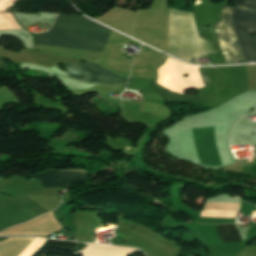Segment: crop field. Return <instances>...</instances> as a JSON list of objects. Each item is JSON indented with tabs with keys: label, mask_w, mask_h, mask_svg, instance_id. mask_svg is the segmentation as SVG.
Masks as SVG:
<instances>
[{
	"label": "crop field",
	"mask_w": 256,
	"mask_h": 256,
	"mask_svg": "<svg viewBox=\"0 0 256 256\" xmlns=\"http://www.w3.org/2000/svg\"><path fill=\"white\" fill-rule=\"evenodd\" d=\"M42 247H56L60 249L77 250L75 242H63L48 239Z\"/></svg>",
	"instance_id": "obj_6"
},
{
	"label": "crop field",
	"mask_w": 256,
	"mask_h": 256,
	"mask_svg": "<svg viewBox=\"0 0 256 256\" xmlns=\"http://www.w3.org/2000/svg\"><path fill=\"white\" fill-rule=\"evenodd\" d=\"M112 98H114V97H112ZM118 99H120V98H118Z\"/></svg>",
	"instance_id": "obj_9"
},
{
	"label": "crop field",
	"mask_w": 256,
	"mask_h": 256,
	"mask_svg": "<svg viewBox=\"0 0 256 256\" xmlns=\"http://www.w3.org/2000/svg\"><path fill=\"white\" fill-rule=\"evenodd\" d=\"M57 19L93 22L77 15L59 14ZM62 20H56L52 28L102 33H108V30H110L102 25L100 26L108 30L98 26L99 24L96 25L97 23L94 24L95 22L86 23ZM56 29H51L49 32L38 35L36 43L100 54L111 31L108 34H102Z\"/></svg>",
	"instance_id": "obj_1"
},
{
	"label": "crop field",
	"mask_w": 256,
	"mask_h": 256,
	"mask_svg": "<svg viewBox=\"0 0 256 256\" xmlns=\"http://www.w3.org/2000/svg\"><path fill=\"white\" fill-rule=\"evenodd\" d=\"M234 31L246 62L256 61V0H234Z\"/></svg>",
	"instance_id": "obj_2"
},
{
	"label": "crop field",
	"mask_w": 256,
	"mask_h": 256,
	"mask_svg": "<svg viewBox=\"0 0 256 256\" xmlns=\"http://www.w3.org/2000/svg\"><path fill=\"white\" fill-rule=\"evenodd\" d=\"M0 66H8L5 62H3L2 60H0Z\"/></svg>",
	"instance_id": "obj_7"
},
{
	"label": "crop field",
	"mask_w": 256,
	"mask_h": 256,
	"mask_svg": "<svg viewBox=\"0 0 256 256\" xmlns=\"http://www.w3.org/2000/svg\"><path fill=\"white\" fill-rule=\"evenodd\" d=\"M11 14V13H10ZM12 15V14H11ZM12 17L14 18V16L12 15ZM15 19V18H14ZM16 20V19H15ZM17 21V20H16ZM17 23L21 26V24L17 21ZM22 29H24L22 26H21ZM25 30V29H24Z\"/></svg>",
	"instance_id": "obj_8"
},
{
	"label": "crop field",
	"mask_w": 256,
	"mask_h": 256,
	"mask_svg": "<svg viewBox=\"0 0 256 256\" xmlns=\"http://www.w3.org/2000/svg\"><path fill=\"white\" fill-rule=\"evenodd\" d=\"M67 76L88 81L126 86L127 77L117 75L95 63L65 65Z\"/></svg>",
	"instance_id": "obj_3"
},
{
	"label": "crop field",
	"mask_w": 256,
	"mask_h": 256,
	"mask_svg": "<svg viewBox=\"0 0 256 256\" xmlns=\"http://www.w3.org/2000/svg\"><path fill=\"white\" fill-rule=\"evenodd\" d=\"M237 215H238V213H237ZM237 218V217H236Z\"/></svg>",
	"instance_id": "obj_10"
},
{
	"label": "crop field",
	"mask_w": 256,
	"mask_h": 256,
	"mask_svg": "<svg viewBox=\"0 0 256 256\" xmlns=\"http://www.w3.org/2000/svg\"><path fill=\"white\" fill-rule=\"evenodd\" d=\"M39 179L43 187L72 188L73 183L93 180L84 170H48L30 176Z\"/></svg>",
	"instance_id": "obj_4"
},
{
	"label": "crop field",
	"mask_w": 256,
	"mask_h": 256,
	"mask_svg": "<svg viewBox=\"0 0 256 256\" xmlns=\"http://www.w3.org/2000/svg\"><path fill=\"white\" fill-rule=\"evenodd\" d=\"M217 232L219 238L224 242H234L242 240L236 231L234 224L217 225Z\"/></svg>",
	"instance_id": "obj_5"
}]
</instances>
